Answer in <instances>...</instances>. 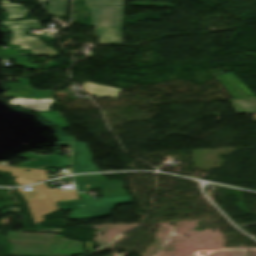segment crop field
<instances>
[{"instance_id":"obj_4","label":"crop field","mask_w":256,"mask_h":256,"mask_svg":"<svg viewBox=\"0 0 256 256\" xmlns=\"http://www.w3.org/2000/svg\"><path fill=\"white\" fill-rule=\"evenodd\" d=\"M1 23L12 32L9 44L21 45V49H29L33 53L56 54L38 38L28 37L24 34L29 27L38 28V21H1Z\"/></svg>"},{"instance_id":"obj_18","label":"crop field","mask_w":256,"mask_h":256,"mask_svg":"<svg viewBox=\"0 0 256 256\" xmlns=\"http://www.w3.org/2000/svg\"><path fill=\"white\" fill-rule=\"evenodd\" d=\"M32 191H25L23 188H19V192L22 194L23 197H32V196H39L36 192L34 187H31Z\"/></svg>"},{"instance_id":"obj_14","label":"crop field","mask_w":256,"mask_h":256,"mask_svg":"<svg viewBox=\"0 0 256 256\" xmlns=\"http://www.w3.org/2000/svg\"><path fill=\"white\" fill-rule=\"evenodd\" d=\"M49 2L47 7L53 16L66 15V6L69 0H40ZM48 10V11H49Z\"/></svg>"},{"instance_id":"obj_10","label":"crop field","mask_w":256,"mask_h":256,"mask_svg":"<svg viewBox=\"0 0 256 256\" xmlns=\"http://www.w3.org/2000/svg\"><path fill=\"white\" fill-rule=\"evenodd\" d=\"M19 83H6L12 91L6 93L8 95H14L22 98H45L49 97V92L33 91L28 85L27 78H18Z\"/></svg>"},{"instance_id":"obj_7","label":"crop field","mask_w":256,"mask_h":256,"mask_svg":"<svg viewBox=\"0 0 256 256\" xmlns=\"http://www.w3.org/2000/svg\"><path fill=\"white\" fill-rule=\"evenodd\" d=\"M18 157L26 159H35L39 161L30 160L28 162L21 163L20 167L35 168L48 170L50 167H69L68 158L59 157V155L43 156L37 154H23ZM42 166V168H39Z\"/></svg>"},{"instance_id":"obj_3","label":"crop field","mask_w":256,"mask_h":256,"mask_svg":"<svg viewBox=\"0 0 256 256\" xmlns=\"http://www.w3.org/2000/svg\"><path fill=\"white\" fill-rule=\"evenodd\" d=\"M59 203L62 210H71L70 220L110 216L116 205L132 203L130 195ZM84 205V207H80Z\"/></svg>"},{"instance_id":"obj_19","label":"crop field","mask_w":256,"mask_h":256,"mask_svg":"<svg viewBox=\"0 0 256 256\" xmlns=\"http://www.w3.org/2000/svg\"><path fill=\"white\" fill-rule=\"evenodd\" d=\"M85 244H86L87 250L92 251L93 245H92L91 241L90 242H85Z\"/></svg>"},{"instance_id":"obj_8","label":"crop field","mask_w":256,"mask_h":256,"mask_svg":"<svg viewBox=\"0 0 256 256\" xmlns=\"http://www.w3.org/2000/svg\"><path fill=\"white\" fill-rule=\"evenodd\" d=\"M214 78L226 87L234 100L256 98L232 72L214 76Z\"/></svg>"},{"instance_id":"obj_16","label":"crop field","mask_w":256,"mask_h":256,"mask_svg":"<svg viewBox=\"0 0 256 256\" xmlns=\"http://www.w3.org/2000/svg\"><path fill=\"white\" fill-rule=\"evenodd\" d=\"M52 125H59L62 128L68 127L60 111L37 113Z\"/></svg>"},{"instance_id":"obj_2","label":"crop field","mask_w":256,"mask_h":256,"mask_svg":"<svg viewBox=\"0 0 256 256\" xmlns=\"http://www.w3.org/2000/svg\"><path fill=\"white\" fill-rule=\"evenodd\" d=\"M90 8L99 43L122 44L124 0H84Z\"/></svg>"},{"instance_id":"obj_20","label":"crop field","mask_w":256,"mask_h":256,"mask_svg":"<svg viewBox=\"0 0 256 256\" xmlns=\"http://www.w3.org/2000/svg\"><path fill=\"white\" fill-rule=\"evenodd\" d=\"M47 66H48V68H50V67L59 66V64H57L55 62H50Z\"/></svg>"},{"instance_id":"obj_15","label":"crop field","mask_w":256,"mask_h":256,"mask_svg":"<svg viewBox=\"0 0 256 256\" xmlns=\"http://www.w3.org/2000/svg\"><path fill=\"white\" fill-rule=\"evenodd\" d=\"M238 113L254 112L256 120V99L232 101Z\"/></svg>"},{"instance_id":"obj_11","label":"crop field","mask_w":256,"mask_h":256,"mask_svg":"<svg viewBox=\"0 0 256 256\" xmlns=\"http://www.w3.org/2000/svg\"><path fill=\"white\" fill-rule=\"evenodd\" d=\"M82 88L90 95L102 98H117L121 89L106 85L86 82Z\"/></svg>"},{"instance_id":"obj_21","label":"crop field","mask_w":256,"mask_h":256,"mask_svg":"<svg viewBox=\"0 0 256 256\" xmlns=\"http://www.w3.org/2000/svg\"><path fill=\"white\" fill-rule=\"evenodd\" d=\"M80 196H81L82 199H89V198H91L90 196H87L85 193L80 194Z\"/></svg>"},{"instance_id":"obj_13","label":"crop field","mask_w":256,"mask_h":256,"mask_svg":"<svg viewBox=\"0 0 256 256\" xmlns=\"http://www.w3.org/2000/svg\"><path fill=\"white\" fill-rule=\"evenodd\" d=\"M1 6L7 14V19H17L28 13V10L19 4L1 3Z\"/></svg>"},{"instance_id":"obj_9","label":"crop field","mask_w":256,"mask_h":256,"mask_svg":"<svg viewBox=\"0 0 256 256\" xmlns=\"http://www.w3.org/2000/svg\"><path fill=\"white\" fill-rule=\"evenodd\" d=\"M25 170L26 168L0 166V171L11 172L12 175L19 176V178L14 179L20 185L35 183L47 177V171L31 169L30 172H25Z\"/></svg>"},{"instance_id":"obj_12","label":"crop field","mask_w":256,"mask_h":256,"mask_svg":"<svg viewBox=\"0 0 256 256\" xmlns=\"http://www.w3.org/2000/svg\"><path fill=\"white\" fill-rule=\"evenodd\" d=\"M9 103L13 106L21 105L23 109L31 111H47L49 110V105L54 103V100L53 98L41 100L15 98L10 100Z\"/></svg>"},{"instance_id":"obj_1","label":"crop field","mask_w":256,"mask_h":256,"mask_svg":"<svg viewBox=\"0 0 256 256\" xmlns=\"http://www.w3.org/2000/svg\"><path fill=\"white\" fill-rule=\"evenodd\" d=\"M9 255L70 256L84 253L81 242L63 238L58 234L9 232Z\"/></svg>"},{"instance_id":"obj_17","label":"crop field","mask_w":256,"mask_h":256,"mask_svg":"<svg viewBox=\"0 0 256 256\" xmlns=\"http://www.w3.org/2000/svg\"><path fill=\"white\" fill-rule=\"evenodd\" d=\"M59 141L55 144L71 145L72 142H75L72 136L65 135L62 131H56Z\"/></svg>"},{"instance_id":"obj_5","label":"crop field","mask_w":256,"mask_h":256,"mask_svg":"<svg viewBox=\"0 0 256 256\" xmlns=\"http://www.w3.org/2000/svg\"><path fill=\"white\" fill-rule=\"evenodd\" d=\"M77 191L101 189L103 197L128 194L121 181L108 182L102 175L73 177Z\"/></svg>"},{"instance_id":"obj_6","label":"crop field","mask_w":256,"mask_h":256,"mask_svg":"<svg viewBox=\"0 0 256 256\" xmlns=\"http://www.w3.org/2000/svg\"><path fill=\"white\" fill-rule=\"evenodd\" d=\"M91 159L92 156L85 143H72V169L76 173L99 171Z\"/></svg>"}]
</instances>
